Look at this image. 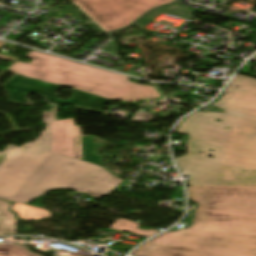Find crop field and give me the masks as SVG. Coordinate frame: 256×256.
<instances>
[{
    "label": "crop field",
    "instance_id": "3",
    "mask_svg": "<svg viewBox=\"0 0 256 256\" xmlns=\"http://www.w3.org/2000/svg\"><path fill=\"white\" fill-rule=\"evenodd\" d=\"M24 57L33 60L17 61L6 68L16 74L3 84L11 102L32 105L27 96L38 93L52 105L69 102L77 108L101 112L100 107L109 100L132 102L160 97L154 87L129 82L127 76L35 50ZM60 85L73 88L74 96L70 100L57 97L55 93Z\"/></svg>",
    "mask_w": 256,
    "mask_h": 256
},
{
    "label": "crop field",
    "instance_id": "2",
    "mask_svg": "<svg viewBox=\"0 0 256 256\" xmlns=\"http://www.w3.org/2000/svg\"><path fill=\"white\" fill-rule=\"evenodd\" d=\"M178 127L177 133L189 135L187 154L176 158L181 171L191 177L187 185H256L255 118L197 111Z\"/></svg>",
    "mask_w": 256,
    "mask_h": 256
},
{
    "label": "crop field",
    "instance_id": "9",
    "mask_svg": "<svg viewBox=\"0 0 256 256\" xmlns=\"http://www.w3.org/2000/svg\"><path fill=\"white\" fill-rule=\"evenodd\" d=\"M13 212L18 213V218L21 220H35L48 218L51 215L48 211L20 203H16L12 207Z\"/></svg>",
    "mask_w": 256,
    "mask_h": 256
},
{
    "label": "crop field",
    "instance_id": "8",
    "mask_svg": "<svg viewBox=\"0 0 256 256\" xmlns=\"http://www.w3.org/2000/svg\"><path fill=\"white\" fill-rule=\"evenodd\" d=\"M93 136H82L83 160L104 166L103 157L98 156L97 148L106 147L105 144L93 141Z\"/></svg>",
    "mask_w": 256,
    "mask_h": 256
},
{
    "label": "crop field",
    "instance_id": "12",
    "mask_svg": "<svg viewBox=\"0 0 256 256\" xmlns=\"http://www.w3.org/2000/svg\"><path fill=\"white\" fill-rule=\"evenodd\" d=\"M138 225L139 224L135 222L119 219L110 228L128 232V233L137 234L143 237H150L156 234L157 232H159L157 230H140V229H137Z\"/></svg>",
    "mask_w": 256,
    "mask_h": 256
},
{
    "label": "crop field",
    "instance_id": "10",
    "mask_svg": "<svg viewBox=\"0 0 256 256\" xmlns=\"http://www.w3.org/2000/svg\"><path fill=\"white\" fill-rule=\"evenodd\" d=\"M10 205L0 200V236L15 235L14 223L16 222L14 214L8 211Z\"/></svg>",
    "mask_w": 256,
    "mask_h": 256
},
{
    "label": "crop field",
    "instance_id": "4",
    "mask_svg": "<svg viewBox=\"0 0 256 256\" xmlns=\"http://www.w3.org/2000/svg\"><path fill=\"white\" fill-rule=\"evenodd\" d=\"M43 120L46 130L0 169L1 198L28 203L50 190L67 189L100 199L123 182L97 165L51 154L50 112L43 111Z\"/></svg>",
    "mask_w": 256,
    "mask_h": 256
},
{
    "label": "crop field",
    "instance_id": "7",
    "mask_svg": "<svg viewBox=\"0 0 256 256\" xmlns=\"http://www.w3.org/2000/svg\"><path fill=\"white\" fill-rule=\"evenodd\" d=\"M51 110L52 153L82 160L81 131L73 119L56 120Z\"/></svg>",
    "mask_w": 256,
    "mask_h": 256
},
{
    "label": "crop field",
    "instance_id": "13",
    "mask_svg": "<svg viewBox=\"0 0 256 256\" xmlns=\"http://www.w3.org/2000/svg\"><path fill=\"white\" fill-rule=\"evenodd\" d=\"M144 109L139 108L133 115L132 120L137 122H148L154 117V114L143 111Z\"/></svg>",
    "mask_w": 256,
    "mask_h": 256
},
{
    "label": "crop field",
    "instance_id": "11",
    "mask_svg": "<svg viewBox=\"0 0 256 256\" xmlns=\"http://www.w3.org/2000/svg\"><path fill=\"white\" fill-rule=\"evenodd\" d=\"M0 256H42L41 254L33 253L28 247L21 244L6 242L0 243Z\"/></svg>",
    "mask_w": 256,
    "mask_h": 256
},
{
    "label": "crop field",
    "instance_id": "1",
    "mask_svg": "<svg viewBox=\"0 0 256 256\" xmlns=\"http://www.w3.org/2000/svg\"><path fill=\"white\" fill-rule=\"evenodd\" d=\"M199 203L192 225L167 232L133 256H256V186H187Z\"/></svg>",
    "mask_w": 256,
    "mask_h": 256
},
{
    "label": "crop field",
    "instance_id": "5",
    "mask_svg": "<svg viewBox=\"0 0 256 256\" xmlns=\"http://www.w3.org/2000/svg\"><path fill=\"white\" fill-rule=\"evenodd\" d=\"M107 32L132 23L149 9L174 0H73Z\"/></svg>",
    "mask_w": 256,
    "mask_h": 256
},
{
    "label": "crop field",
    "instance_id": "14",
    "mask_svg": "<svg viewBox=\"0 0 256 256\" xmlns=\"http://www.w3.org/2000/svg\"><path fill=\"white\" fill-rule=\"evenodd\" d=\"M18 146L8 145L2 153H0V168L10 158V156L16 151Z\"/></svg>",
    "mask_w": 256,
    "mask_h": 256
},
{
    "label": "crop field",
    "instance_id": "6",
    "mask_svg": "<svg viewBox=\"0 0 256 256\" xmlns=\"http://www.w3.org/2000/svg\"><path fill=\"white\" fill-rule=\"evenodd\" d=\"M234 84L240 85L232 88ZM227 92L213 105L223 110L251 116L256 118V80L236 75L233 81L226 87Z\"/></svg>",
    "mask_w": 256,
    "mask_h": 256
}]
</instances>
